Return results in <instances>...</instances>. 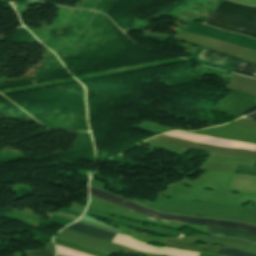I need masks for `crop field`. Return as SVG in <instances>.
<instances>
[{
  "label": "crop field",
  "mask_w": 256,
  "mask_h": 256,
  "mask_svg": "<svg viewBox=\"0 0 256 256\" xmlns=\"http://www.w3.org/2000/svg\"><path fill=\"white\" fill-rule=\"evenodd\" d=\"M215 13L256 23V7L222 0ZM210 12L205 24L256 38V24Z\"/></svg>",
  "instance_id": "1"
},
{
  "label": "crop field",
  "mask_w": 256,
  "mask_h": 256,
  "mask_svg": "<svg viewBox=\"0 0 256 256\" xmlns=\"http://www.w3.org/2000/svg\"><path fill=\"white\" fill-rule=\"evenodd\" d=\"M198 58L211 63L228 66L233 69L245 61L243 59L232 57L228 54H224L221 52H217V51H213L205 48H203V50L200 52V54L198 55ZM233 73L256 78V64L246 61L243 64H241L239 67L234 69Z\"/></svg>",
  "instance_id": "2"
},
{
  "label": "crop field",
  "mask_w": 256,
  "mask_h": 256,
  "mask_svg": "<svg viewBox=\"0 0 256 256\" xmlns=\"http://www.w3.org/2000/svg\"><path fill=\"white\" fill-rule=\"evenodd\" d=\"M89 192H90V195H93V196H95L97 198H100V199H103V200L115 203V204L120 205V206H122L124 208H127L129 210H132V211L144 214L146 216H149V217H151L153 219L163 220V221H172V222H177L178 221V217L179 216H176V215H165V214L157 213L155 211H152V210H149V209H147L145 207H142V206H140V205H138V204H136L134 202H130V201L121 199L119 197H116L114 195H111L109 193L101 191L99 189H96V188H94L92 186H89Z\"/></svg>",
  "instance_id": "3"
},
{
  "label": "crop field",
  "mask_w": 256,
  "mask_h": 256,
  "mask_svg": "<svg viewBox=\"0 0 256 256\" xmlns=\"http://www.w3.org/2000/svg\"><path fill=\"white\" fill-rule=\"evenodd\" d=\"M166 246L181 248V249H186L191 251L210 252V253H216V254L219 248V247H213V246L194 245L191 243H187L183 240H177V239H167ZM218 254L228 255V256H255L247 252L232 250V249H225V248H220Z\"/></svg>",
  "instance_id": "4"
},
{
  "label": "crop field",
  "mask_w": 256,
  "mask_h": 256,
  "mask_svg": "<svg viewBox=\"0 0 256 256\" xmlns=\"http://www.w3.org/2000/svg\"><path fill=\"white\" fill-rule=\"evenodd\" d=\"M182 223L189 224H199V225H208L214 227H223L231 229H242L256 234V227L248 224L235 223L230 221L223 220H214V219H202V218H190V217H179V221Z\"/></svg>",
  "instance_id": "5"
},
{
  "label": "crop field",
  "mask_w": 256,
  "mask_h": 256,
  "mask_svg": "<svg viewBox=\"0 0 256 256\" xmlns=\"http://www.w3.org/2000/svg\"><path fill=\"white\" fill-rule=\"evenodd\" d=\"M66 228H69V229H72V230H75V231H78V232H81L84 234H88V235H91V236H94V237H97L100 239L108 240V241H111L117 235V233L102 230V229L88 226L85 224H81L78 222H75V223L67 226Z\"/></svg>",
  "instance_id": "6"
},
{
  "label": "crop field",
  "mask_w": 256,
  "mask_h": 256,
  "mask_svg": "<svg viewBox=\"0 0 256 256\" xmlns=\"http://www.w3.org/2000/svg\"><path fill=\"white\" fill-rule=\"evenodd\" d=\"M207 228L209 229L211 235L242 238V239H245L247 241L256 243V235L247 233L245 231L221 229V228H213V227H207Z\"/></svg>",
  "instance_id": "7"
},
{
  "label": "crop field",
  "mask_w": 256,
  "mask_h": 256,
  "mask_svg": "<svg viewBox=\"0 0 256 256\" xmlns=\"http://www.w3.org/2000/svg\"><path fill=\"white\" fill-rule=\"evenodd\" d=\"M28 255H32V256H54V253H50V252H46V251H35V252H31V253H26Z\"/></svg>",
  "instance_id": "8"
},
{
  "label": "crop field",
  "mask_w": 256,
  "mask_h": 256,
  "mask_svg": "<svg viewBox=\"0 0 256 256\" xmlns=\"http://www.w3.org/2000/svg\"><path fill=\"white\" fill-rule=\"evenodd\" d=\"M254 111H256V105H255V106H252V107H250V108H248V109H245V110H243V111H240V112H238V113L247 115V114L252 113V112H254Z\"/></svg>",
  "instance_id": "9"
},
{
  "label": "crop field",
  "mask_w": 256,
  "mask_h": 256,
  "mask_svg": "<svg viewBox=\"0 0 256 256\" xmlns=\"http://www.w3.org/2000/svg\"><path fill=\"white\" fill-rule=\"evenodd\" d=\"M247 118H252V119H256V112L251 114V115H248L246 116Z\"/></svg>",
  "instance_id": "10"
},
{
  "label": "crop field",
  "mask_w": 256,
  "mask_h": 256,
  "mask_svg": "<svg viewBox=\"0 0 256 256\" xmlns=\"http://www.w3.org/2000/svg\"><path fill=\"white\" fill-rule=\"evenodd\" d=\"M255 167H256V163H255V165H254Z\"/></svg>",
  "instance_id": "11"
}]
</instances>
